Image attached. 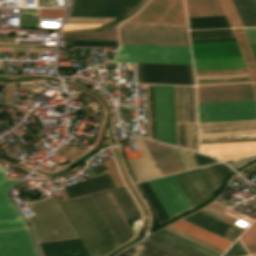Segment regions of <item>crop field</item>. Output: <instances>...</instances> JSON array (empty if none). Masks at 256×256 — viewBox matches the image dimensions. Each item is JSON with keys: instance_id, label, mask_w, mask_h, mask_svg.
<instances>
[{"instance_id": "obj_1", "label": "crop field", "mask_w": 256, "mask_h": 256, "mask_svg": "<svg viewBox=\"0 0 256 256\" xmlns=\"http://www.w3.org/2000/svg\"><path fill=\"white\" fill-rule=\"evenodd\" d=\"M59 206L79 239L37 243L41 256H107L120 246L89 195Z\"/></svg>"}, {"instance_id": "obj_2", "label": "crop field", "mask_w": 256, "mask_h": 256, "mask_svg": "<svg viewBox=\"0 0 256 256\" xmlns=\"http://www.w3.org/2000/svg\"><path fill=\"white\" fill-rule=\"evenodd\" d=\"M174 177L191 208L216 192L202 168L175 174ZM174 177L169 175L148 181L170 219L191 209Z\"/></svg>"}, {"instance_id": "obj_3", "label": "crop field", "mask_w": 256, "mask_h": 256, "mask_svg": "<svg viewBox=\"0 0 256 256\" xmlns=\"http://www.w3.org/2000/svg\"><path fill=\"white\" fill-rule=\"evenodd\" d=\"M195 70L246 67L236 41L191 43ZM247 71L246 68L203 70L195 74Z\"/></svg>"}, {"instance_id": "obj_4", "label": "crop field", "mask_w": 256, "mask_h": 256, "mask_svg": "<svg viewBox=\"0 0 256 256\" xmlns=\"http://www.w3.org/2000/svg\"><path fill=\"white\" fill-rule=\"evenodd\" d=\"M108 192L111 193L126 221L141 217L140 209L138 210L126 187L91 195L120 244H123L130 239L132 234L106 194Z\"/></svg>"}, {"instance_id": "obj_5", "label": "crop field", "mask_w": 256, "mask_h": 256, "mask_svg": "<svg viewBox=\"0 0 256 256\" xmlns=\"http://www.w3.org/2000/svg\"><path fill=\"white\" fill-rule=\"evenodd\" d=\"M29 205L35 215L27 219L37 242L75 237L53 198L29 202Z\"/></svg>"}, {"instance_id": "obj_6", "label": "crop field", "mask_w": 256, "mask_h": 256, "mask_svg": "<svg viewBox=\"0 0 256 256\" xmlns=\"http://www.w3.org/2000/svg\"><path fill=\"white\" fill-rule=\"evenodd\" d=\"M110 62L192 64L189 47L120 44Z\"/></svg>"}, {"instance_id": "obj_7", "label": "crop field", "mask_w": 256, "mask_h": 256, "mask_svg": "<svg viewBox=\"0 0 256 256\" xmlns=\"http://www.w3.org/2000/svg\"><path fill=\"white\" fill-rule=\"evenodd\" d=\"M156 140L176 145L173 86L153 85Z\"/></svg>"}, {"instance_id": "obj_8", "label": "crop field", "mask_w": 256, "mask_h": 256, "mask_svg": "<svg viewBox=\"0 0 256 256\" xmlns=\"http://www.w3.org/2000/svg\"><path fill=\"white\" fill-rule=\"evenodd\" d=\"M198 111L199 122L256 119V102L246 100L198 103Z\"/></svg>"}, {"instance_id": "obj_9", "label": "crop field", "mask_w": 256, "mask_h": 256, "mask_svg": "<svg viewBox=\"0 0 256 256\" xmlns=\"http://www.w3.org/2000/svg\"><path fill=\"white\" fill-rule=\"evenodd\" d=\"M138 83L194 85L192 65L138 64Z\"/></svg>"}, {"instance_id": "obj_10", "label": "crop field", "mask_w": 256, "mask_h": 256, "mask_svg": "<svg viewBox=\"0 0 256 256\" xmlns=\"http://www.w3.org/2000/svg\"><path fill=\"white\" fill-rule=\"evenodd\" d=\"M120 43L189 46L187 31L119 28Z\"/></svg>"}, {"instance_id": "obj_11", "label": "crop field", "mask_w": 256, "mask_h": 256, "mask_svg": "<svg viewBox=\"0 0 256 256\" xmlns=\"http://www.w3.org/2000/svg\"><path fill=\"white\" fill-rule=\"evenodd\" d=\"M128 21L186 23L183 0H151Z\"/></svg>"}, {"instance_id": "obj_12", "label": "crop field", "mask_w": 256, "mask_h": 256, "mask_svg": "<svg viewBox=\"0 0 256 256\" xmlns=\"http://www.w3.org/2000/svg\"><path fill=\"white\" fill-rule=\"evenodd\" d=\"M198 102L255 99L252 84L197 86Z\"/></svg>"}, {"instance_id": "obj_13", "label": "crop field", "mask_w": 256, "mask_h": 256, "mask_svg": "<svg viewBox=\"0 0 256 256\" xmlns=\"http://www.w3.org/2000/svg\"><path fill=\"white\" fill-rule=\"evenodd\" d=\"M0 256H38L29 230L0 231Z\"/></svg>"}, {"instance_id": "obj_14", "label": "crop field", "mask_w": 256, "mask_h": 256, "mask_svg": "<svg viewBox=\"0 0 256 256\" xmlns=\"http://www.w3.org/2000/svg\"><path fill=\"white\" fill-rule=\"evenodd\" d=\"M20 180H6L0 165V230L27 227L24 219L9 201L8 190Z\"/></svg>"}, {"instance_id": "obj_15", "label": "crop field", "mask_w": 256, "mask_h": 256, "mask_svg": "<svg viewBox=\"0 0 256 256\" xmlns=\"http://www.w3.org/2000/svg\"><path fill=\"white\" fill-rule=\"evenodd\" d=\"M200 152L221 160L256 154V141L200 144Z\"/></svg>"}, {"instance_id": "obj_16", "label": "crop field", "mask_w": 256, "mask_h": 256, "mask_svg": "<svg viewBox=\"0 0 256 256\" xmlns=\"http://www.w3.org/2000/svg\"><path fill=\"white\" fill-rule=\"evenodd\" d=\"M183 220L190 222L194 225H197V226H199L203 229H206L210 232H213L217 235H219L228 226V224H226L220 220H217L211 216H208L200 211L184 218ZM241 233H242V231L229 225L220 234V236L234 242Z\"/></svg>"}, {"instance_id": "obj_17", "label": "crop field", "mask_w": 256, "mask_h": 256, "mask_svg": "<svg viewBox=\"0 0 256 256\" xmlns=\"http://www.w3.org/2000/svg\"><path fill=\"white\" fill-rule=\"evenodd\" d=\"M162 174L181 171L168 146L142 139Z\"/></svg>"}, {"instance_id": "obj_18", "label": "crop field", "mask_w": 256, "mask_h": 256, "mask_svg": "<svg viewBox=\"0 0 256 256\" xmlns=\"http://www.w3.org/2000/svg\"><path fill=\"white\" fill-rule=\"evenodd\" d=\"M170 227L179 230L185 234H188L194 238H197L205 243H208L214 247H217L223 251H225L232 242L223 239L217 235H214L210 232H207L201 228H198L192 224H189L183 220L171 225Z\"/></svg>"}, {"instance_id": "obj_19", "label": "crop field", "mask_w": 256, "mask_h": 256, "mask_svg": "<svg viewBox=\"0 0 256 256\" xmlns=\"http://www.w3.org/2000/svg\"><path fill=\"white\" fill-rule=\"evenodd\" d=\"M114 185L109 177V175L84 180L82 182H78L74 185L65 187V191L69 198L113 188Z\"/></svg>"}, {"instance_id": "obj_20", "label": "crop field", "mask_w": 256, "mask_h": 256, "mask_svg": "<svg viewBox=\"0 0 256 256\" xmlns=\"http://www.w3.org/2000/svg\"><path fill=\"white\" fill-rule=\"evenodd\" d=\"M134 8L70 7L67 17H119Z\"/></svg>"}, {"instance_id": "obj_21", "label": "crop field", "mask_w": 256, "mask_h": 256, "mask_svg": "<svg viewBox=\"0 0 256 256\" xmlns=\"http://www.w3.org/2000/svg\"><path fill=\"white\" fill-rule=\"evenodd\" d=\"M188 17L225 15L218 0H186Z\"/></svg>"}, {"instance_id": "obj_22", "label": "crop field", "mask_w": 256, "mask_h": 256, "mask_svg": "<svg viewBox=\"0 0 256 256\" xmlns=\"http://www.w3.org/2000/svg\"><path fill=\"white\" fill-rule=\"evenodd\" d=\"M143 241L176 256H201L172 242H169L163 238H160L154 234H149L147 237L143 239Z\"/></svg>"}, {"instance_id": "obj_23", "label": "crop field", "mask_w": 256, "mask_h": 256, "mask_svg": "<svg viewBox=\"0 0 256 256\" xmlns=\"http://www.w3.org/2000/svg\"><path fill=\"white\" fill-rule=\"evenodd\" d=\"M191 42L236 40L231 29L190 31Z\"/></svg>"}, {"instance_id": "obj_24", "label": "crop field", "mask_w": 256, "mask_h": 256, "mask_svg": "<svg viewBox=\"0 0 256 256\" xmlns=\"http://www.w3.org/2000/svg\"><path fill=\"white\" fill-rule=\"evenodd\" d=\"M244 26L256 25V5L253 0H232Z\"/></svg>"}, {"instance_id": "obj_25", "label": "crop field", "mask_w": 256, "mask_h": 256, "mask_svg": "<svg viewBox=\"0 0 256 256\" xmlns=\"http://www.w3.org/2000/svg\"><path fill=\"white\" fill-rule=\"evenodd\" d=\"M238 40L239 46L241 48L242 54L244 56L245 62L247 64L248 70L250 72L251 78L256 82V63L253 58L252 52L248 45L247 39L245 37L244 31L242 28L233 29Z\"/></svg>"}, {"instance_id": "obj_26", "label": "crop field", "mask_w": 256, "mask_h": 256, "mask_svg": "<svg viewBox=\"0 0 256 256\" xmlns=\"http://www.w3.org/2000/svg\"><path fill=\"white\" fill-rule=\"evenodd\" d=\"M142 0H72L70 6L136 7Z\"/></svg>"}, {"instance_id": "obj_27", "label": "crop field", "mask_w": 256, "mask_h": 256, "mask_svg": "<svg viewBox=\"0 0 256 256\" xmlns=\"http://www.w3.org/2000/svg\"><path fill=\"white\" fill-rule=\"evenodd\" d=\"M155 234H157L163 238H166L172 242H175L183 247H186L194 252H197L203 256H220L212 251H209L199 245H196L188 240H185V239H183L175 234H172L164 229H161V230L155 232Z\"/></svg>"}, {"instance_id": "obj_28", "label": "crop field", "mask_w": 256, "mask_h": 256, "mask_svg": "<svg viewBox=\"0 0 256 256\" xmlns=\"http://www.w3.org/2000/svg\"><path fill=\"white\" fill-rule=\"evenodd\" d=\"M139 188L143 192L144 196L148 200L149 204L151 205L154 214L160 223L169 220L168 215L164 211L163 207L161 206L160 202L156 198L155 194L153 193L152 189L148 185L147 181L138 183Z\"/></svg>"}, {"instance_id": "obj_29", "label": "crop field", "mask_w": 256, "mask_h": 256, "mask_svg": "<svg viewBox=\"0 0 256 256\" xmlns=\"http://www.w3.org/2000/svg\"><path fill=\"white\" fill-rule=\"evenodd\" d=\"M252 256H256V221L241 235Z\"/></svg>"}, {"instance_id": "obj_30", "label": "crop field", "mask_w": 256, "mask_h": 256, "mask_svg": "<svg viewBox=\"0 0 256 256\" xmlns=\"http://www.w3.org/2000/svg\"><path fill=\"white\" fill-rule=\"evenodd\" d=\"M233 27L243 26L231 0H221ZM231 25V26H232Z\"/></svg>"}, {"instance_id": "obj_31", "label": "crop field", "mask_w": 256, "mask_h": 256, "mask_svg": "<svg viewBox=\"0 0 256 256\" xmlns=\"http://www.w3.org/2000/svg\"><path fill=\"white\" fill-rule=\"evenodd\" d=\"M104 165H105L107 171L109 172L111 178L113 179L116 187L123 186L124 184H123L122 178L119 174V171L116 167V164H115L113 158L104 162Z\"/></svg>"}, {"instance_id": "obj_32", "label": "crop field", "mask_w": 256, "mask_h": 256, "mask_svg": "<svg viewBox=\"0 0 256 256\" xmlns=\"http://www.w3.org/2000/svg\"><path fill=\"white\" fill-rule=\"evenodd\" d=\"M74 46H118V41H71Z\"/></svg>"}, {"instance_id": "obj_33", "label": "crop field", "mask_w": 256, "mask_h": 256, "mask_svg": "<svg viewBox=\"0 0 256 256\" xmlns=\"http://www.w3.org/2000/svg\"><path fill=\"white\" fill-rule=\"evenodd\" d=\"M210 168L212 169L213 173L217 177L220 184H221L224 176L232 171L229 168H227L225 165H223L222 163L210 165Z\"/></svg>"}, {"instance_id": "obj_34", "label": "crop field", "mask_w": 256, "mask_h": 256, "mask_svg": "<svg viewBox=\"0 0 256 256\" xmlns=\"http://www.w3.org/2000/svg\"><path fill=\"white\" fill-rule=\"evenodd\" d=\"M249 42L256 41V28H243ZM256 60V42L249 43Z\"/></svg>"}, {"instance_id": "obj_35", "label": "crop field", "mask_w": 256, "mask_h": 256, "mask_svg": "<svg viewBox=\"0 0 256 256\" xmlns=\"http://www.w3.org/2000/svg\"><path fill=\"white\" fill-rule=\"evenodd\" d=\"M64 10H51V9H40V17H52V18H63Z\"/></svg>"}, {"instance_id": "obj_36", "label": "crop field", "mask_w": 256, "mask_h": 256, "mask_svg": "<svg viewBox=\"0 0 256 256\" xmlns=\"http://www.w3.org/2000/svg\"><path fill=\"white\" fill-rule=\"evenodd\" d=\"M190 154L193 157V159L195 160L198 167L213 164V163H217V161H215L211 158H208L206 156H202V155H198V154H194V153H190Z\"/></svg>"}, {"instance_id": "obj_37", "label": "crop field", "mask_w": 256, "mask_h": 256, "mask_svg": "<svg viewBox=\"0 0 256 256\" xmlns=\"http://www.w3.org/2000/svg\"><path fill=\"white\" fill-rule=\"evenodd\" d=\"M103 24H65L64 30H78V29H87L95 28Z\"/></svg>"}, {"instance_id": "obj_38", "label": "crop field", "mask_w": 256, "mask_h": 256, "mask_svg": "<svg viewBox=\"0 0 256 256\" xmlns=\"http://www.w3.org/2000/svg\"><path fill=\"white\" fill-rule=\"evenodd\" d=\"M16 85H8L4 103H13Z\"/></svg>"}, {"instance_id": "obj_39", "label": "crop field", "mask_w": 256, "mask_h": 256, "mask_svg": "<svg viewBox=\"0 0 256 256\" xmlns=\"http://www.w3.org/2000/svg\"><path fill=\"white\" fill-rule=\"evenodd\" d=\"M203 170L205 171L206 175L208 176V178L210 179L211 183L213 184V186L215 187V189L217 190L220 186L219 182L217 181L216 177L214 176V174L212 173L211 169L209 168V166L207 167H203Z\"/></svg>"}, {"instance_id": "obj_40", "label": "crop field", "mask_w": 256, "mask_h": 256, "mask_svg": "<svg viewBox=\"0 0 256 256\" xmlns=\"http://www.w3.org/2000/svg\"><path fill=\"white\" fill-rule=\"evenodd\" d=\"M150 94H151L152 130H153V139H155L152 85H150Z\"/></svg>"}, {"instance_id": "obj_41", "label": "crop field", "mask_w": 256, "mask_h": 256, "mask_svg": "<svg viewBox=\"0 0 256 256\" xmlns=\"http://www.w3.org/2000/svg\"><path fill=\"white\" fill-rule=\"evenodd\" d=\"M243 256H249V255H248L247 252H246Z\"/></svg>"}, {"instance_id": "obj_42", "label": "crop field", "mask_w": 256, "mask_h": 256, "mask_svg": "<svg viewBox=\"0 0 256 256\" xmlns=\"http://www.w3.org/2000/svg\"><path fill=\"white\" fill-rule=\"evenodd\" d=\"M254 86H255V91H256V83H254Z\"/></svg>"}, {"instance_id": "obj_43", "label": "crop field", "mask_w": 256, "mask_h": 256, "mask_svg": "<svg viewBox=\"0 0 256 256\" xmlns=\"http://www.w3.org/2000/svg\"><path fill=\"white\" fill-rule=\"evenodd\" d=\"M255 1V3H256V0H254Z\"/></svg>"}, {"instance_id": "obj_44", "label": "crop field", "mask_w": 256, "mask_h": 256, "mask_svg": "<svg viewBox=\"0 0 256 256\" xmlns=\"http://www.w3.org/2000/svg\"><path fill=\"white\" fill-rule=\"evenodd\" d=\"M117 256H119V255H117Z\"/></svg>"}]
</instances>
